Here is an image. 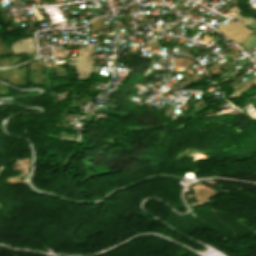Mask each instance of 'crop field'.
Returning <instances> with one entry per match:
<instances>
[{
    "mask_svg": "<svg viewBox=\"0 0 256 256\" xmlns=\"http://www.w3.org/2000/svg\"><path fill=\"white\" fill-rule=\"evenodd\" d=\"M217 28L239 44L252 33V31L245 29L243 24L231 21H229L225 26L220 24Z\"/></svg>",
    "mask_w": 256,
    "mask_h": 256,
    "instance_id": "crop-field-1",
    "label": "crop field"
},
{
    "mask_svg": "<svg viewBox=\"0 0 256 256\" xmlns=\"http://www.w3.org/2000/svg\"><path fill=\"white\" fill-rule=\"evenodd\" d=\"M251 36H252V34L241 44L243 47H245V48H247V49L249 48ZM254 36H255V35L252 36V40H251V44H250V48H249V49H251ZM255 45H256V36H255V39H254L253 47H254Z\"/></svg>",
    "mask_w": 256,
    "mask_h": 256,
    "instance_id": "crop-field-2",
    "label": "crop field"
},
{
    "mask_svg": "<svg viewBox=\"0 0 256 256\" xmlns=\"http://www.w3.org/2000/svg\"><path fill=\"white\" fill-rule=\"evenodd\" d=\"M248 26H250V27H252V28H256V23L255 22H253V23H251V24H249Z\"/></svg>",
    "mask_w": 256,
    "mask_h": 256,
    "instance_id": "crop-field-3",
    "label": "crop field"
},
{
    "mask_svg": "<svg viewBox=\"0 0 256 256\" xmlns=\"http://www.w3.org/2000/svg\"><path fill=\"white\" fill-rule=\"evenodd\" d=\"M251 81H252V80H251ZM251 81H250V82H251ZM252 82H253V81H252ZM247 84H248V83H247ZM247 84H246V85H247ZM242 88H243V87H242ZM244 89H245V88H244ZM238 90H239V89H238ZM240 92H241V91H240ZM234 94H235V93H234ZM237 94H238V93H237ZM237 94H236V95H237ZM236 95H235V96H236ZM230 97H231V96H230ZM233 97H234V96H233ZM233 97H232V98H233Z\"/></svg>",
    "mask_w": 256,
    "mask_h": 256,
    "instance_id": "crop-field-4",
    "label": "crop field"
},
{
    "mask_svg": "<svg viewBox=\"0 0 256 256\" xmlns=\"http://www.w3.org/2000/svg\"><path fill=\"white\" fill-rule=\"evenodd\" d=\"M256 61V59H254Z\"/></svg>",
    "mask_w": 256,
    "mask_h": 256,
    "instance_id": "crop-field-5",
    "label": "crop field"
}]
</instances>
